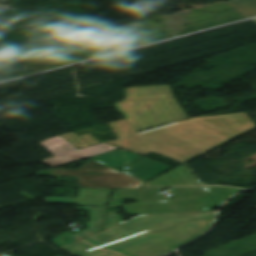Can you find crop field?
Listing matches in <instances>:
<instances>
[{"label": "crop field", "instance_id": "obj_5", "mask_svg": "<svg viewBox=\"0 0 256 256\" xmlns=\"http://www.w3.org/2000/svg\"><path fill=\"white\" fill-rule=\"evenodd\" d=\"M39 144H41L45 149H47L51 154L55 156L52 158H47L41 162L49 164L54 167L74 162L80 159H84L90 156L98 155L102 152L118 148L104 143L101 145L92 146L76 151L74 150L76 148L71 146L72 144L70 145L60 136L44 140L42 142H39Z\"/></svg>", "mask_w": 256, "mask_h": 256}, {"label": "crop field", "instance_id": "obj_3", "mask_svg": "<svg viewBox=\"0 0 256 256\" xmlns=\"http://www.w3.org/2000/svg\"><path fill=\"white\" fill-rule=\"evenodd\" d=\"M50 176H78V187L139 189L144 183L92 159L78 170L51 169Z\"/></svg>", "mask_w": 256, "mask_h": 256}, {"label": "crop field", "instance_id": "obj_2", "mask_svg": "<svg viewBox=\"0 0 256 256\" xmlns=\"http://www.w3.org/2000/svg\"><path fill=\"white\" fill-rule=\"evenodd\" d=\"M126 99L114 107L136 132L188 118L169 85L133 87Z\"/></svg>", "mask_w": 256, "mask_h": 256}, {"label": "crop field", "instance_id": "obj_1", "mask_svg": "<svg viewBox=\"0 0 256 256\" xmlns=\"http://www.w3.org/2000/svg\"><path fill=\"white\" fill-rule=\"evenodd\" d=\"M79 210L89 211V229L54 238L56 246L77 256H160L205 233L194 220H213L216 214L137 216L124 222L116 214L119 211H110L103 232L76 242L102 229L105 208L79 207Z\"/></svg>", "mask_w": 256, "mask_h": 256}, {"label": "crop field", "instance_id": "obj_4", "mask_svg": "<svg viewBox=\"0 0 256 256\" xmlns=\"http://www.w3.org/2000/svg\"><path fill=\"white\" fill-rule=\"evenodd\" d=\"M141 157H143L142 161L139 160ZM92 159L114 169L130 166L131 168L124 173L143 181L155 177L172 168L168 165L123 149L93 157ZM134 162L137 163L133 164Z\"/></svg>", "mask_w": 256, "mask_h": 256}, {"label": "crop field", "instance_id": "obj_7", "mask_svg": "<svg viewBox=\"0 0 256 256\" xmlns=\"http://www.w3.org/2000/svg\"><path fill=\"white\" fill-rule=\"evenodd\" d=\"M196 222H197V223L201 226V228L206 232V231L209 229V227H210L212 221H196Z\"/></svg>", "mask_w": 256, "mask_h": 256}, {"label": "crop field", "instance_id": "obj_8", "mask_svg": "<svg viewBox=\"0 0 256 256\" xmlns=\"http://www.w3.org/2000/svg\"><path fill=\"white\" fill-rule=\"evenodd\" d=\"M254 21L256 22V19H254Z\"/></svg>", "mask_w": 256, "mask_h": 256}, {"label": "crop field", "instance_id": "obj_6", "mask_svg": "<svg viewBox=\"0 0 256 256\" xmlns=\"http://www.w3.org/2000/svg\"><path fill=\"white\" fill-rule=\"evenodd\" d=\"M230 3L246 18L256 16V0H235Z\"/></svg>", "mask_w": 256, "mask_h": 256}]
</instances>
